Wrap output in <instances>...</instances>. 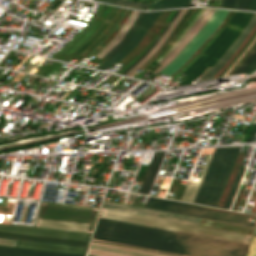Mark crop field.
<instances>
[{"mask_svg": "<svg viewBox=\"0 0 256 256\" xmlns=\"http://www.w3.org/2000/svg\"><path fill=\"white\" fill-rule=\"evenodd\" d=\"M93 238L190 256H245L248 247L101 218Z\"/></svg>", "mask_w": 256, "mask_h": 256, "instance_id": "1", "label": "crop field"}, {"mask_svg": "<svg viewBox=\"0 0 256 256\" xmlns=\"http://www.w3.org/2000/svg\"><path fill=\"white\" fill-rule=\"evenodd\" d=\"M98 209L41 202L34 227L91 233Z\"/></svg>", "mask_w": 256, "mask_h": 256, "instance_id": "2", "label": "crop field"}, {"mask_svg": "<svg viewBox=\"0 0 256 256\" xmlns=\"http://www.w3.org/2000/svg\"><path fill=\"white\" fill-rule=\"evenodd\" d=\"M240 148H216L193 203L216 207Z\"/></svg>", "mask_w": 256, "mask_h": 256, "instance_id": "3", "label": "crop field"}, {"mask_svg": "<svg viewBox=\"0 0 256 256\" xmlns=\"http://www.w3.org/2000/svg\"><path fill=\"white\" fill-rule=\"evenodd\" d=\"M99 216L103 218H108V219L130 222V223H135V224H140L145 226L167 229V230L188 233V234H193L198 236H204V237H209V238H214L219 240H225V241H230L235 243H241L246 245L249 244V240L251 237L249 235H243V234H238L233 232H227V231H222L217 229H211V228H206L201 226L168 221V220L152 218V217L136 215V214L120 212V211L104 209V208L101 209ZM246 239H248V241H246Z\"/></svg>", "mask_w": 256, "mask_h": 256, "instance_id": "4", "label": "crop field"}, {"mask_svg": "<svg viewBox=\"0 0 256 256\" xmlns=\"http://www.w3.org/2000/svg\"><path fill=\"white\" fill-rule=\"evenodd\" d=\"M253 13L239 12L221 32V34L212 42V44L204 51L199 59L191 65L184 74L189 77L186 78L181 84L185 85L199 76L208 66L212 67L213 64L224 54L228 47L237 38L243 28L251 19Z\"/></svg>", "mask_w": 256, "mask_h": 256, "instance_id": "5", "label": "crop field"}, {"mask_svg": "<svg viewBox=\"0 0 256 256\" xmlns=\"http://www.w3.org/2000/svg\"><path fill=\"white\" fill-rule=\"evenodd\" d=\"M147 208H153L158 210H164L174 213H180L185 215H191L196 217H202L207 219H213L218 221H224L234 224H240L253 227L255 223L246 222L247 216L235 215L220 211H214L201 208L199 205L186 204L180 202H174L164 199H158L149 197L146 206Z\"/></svg>", "mask_w": 256, "mask_h": 256, "instance_id": "6", "label": "crop field"}, {"mask_svg": "<svg viewBox=\"0 0 256 256\" xmlns=\"http://www.w3.org/2000/svg\"><path fill=\"white\" fill-rule=\"evenodd\" d=\"M228 13L229 11L227 10L216 9L204 27L195 35V37L186 45V47L177 55V57L160 73L171 76L175 71H177L220 26Z\"/></svg>", "mask_w": 256, "mask_h": 256, "instance_id": "7", "label": "crop field"}, {"mask_svg": "<svg viewBox=\"0 0 256 256\" xmlns=\"http://www.w3.org/2000/svg\"><path fill=\"white\" fill-rule=\"evenodd\" d=\"M102 207L131 212V213H137V214H142L147 216H153V217H158L163 219H169L174 221H180V222H185L190 224H196V225H198L201 220L199 218L183 216V215H178V214H173V213H168L163 211H157V210H152V209H147L142 207L106 202V201L103 202Z\"/></svg>", "mask_w": 256, "mask_h": 256, "instance_id": "8", "label": "crop field"}, {"mask_svg": "<svg viewBox=\"0 0 256 256\" xmlns=\"http://www.w3.org/2000/svg\"><path fill=\"white\" fill-rule=\"evenodd\" d=\"M0 231L11 232V233H20V234H29V235L57 237V238H66V239L85 240V241H89L90 235H91V234H87V233L38 229V228L2 225V224H0Z\"/></svg>", "mask_w": 256, "mask_h": 256, "instance_id": "9", "label": "crop field"}, {"mask_svg": "<svg viewBox=\"0 0 256 256\" xmlns=\"http://www.w3.org/2000/svg\"><path fill=\"white\" fill-rule=\"evenodd\" d=\"M160 13V11L155 12H148L147 16L145 17L142 24L139 26L137 31L134 33L132 38L129 40V42L121 48L112 58H110L103 66H101L99 69H106L109 66H111L112 63L116 64L120 59H122L130 50H132L136 44L139 42L141 37L144 35L146 30L149 28L151 23L154 21V19L157 17V15Z\"/></svg>", "mask_w": 256, "mask_h": 256, "instance_id": "10", "label": "crop field"}, {"mask_svg": "<svg viewBox=\"0 0 256 256\" xmlns=\"http://www.w3.org/2000/svg\"><path fill=\"white\" fill-rule=\"evenodd\" d=\"M256 24V13H254L252 19L238 36V38L234 41V43L229 47V49L225 52V54L217 61V63L199 80H209L212 79L216 73L225 65V63L232 57L244 39L247 37L251 29ZM198 82V81H197Z\"/></svg>", "mask_w": 256, "mask_h": 256, "instance_id": "11", "label": "crop field"}, {"mask_svg": "<svg viewBox=\"0 0 256 256\" xmlns=\"http://www.w3.org/2000/svg\"><path fill=\"white\" fill-rule=\"evenodd\" d=\"M0 256H85L81 254L0 246Z\"/></svg>", "mask_w": 256, "mask_h": 256, "instance_id": "12", "label": "crop field"}, {"mask_svg": "<svg viewBox=\"0 0 256 256\" xmlns=\"http://www.w3.org/2000/svg\"><path fill=\"white\" fill-rule=\"evenodd\" d=\"M215 9H209L203 19L193 28V30L183 39V41L178 45V47L173 51V53L169 56V58L160 66L158 67L150 76H148L145 80L150 78L152 75H156L160 72L166 65H168L175 56L184 48V46L193 38V36L202 28V26L209 20L211 15Z\"/></svg>", "mask_w": 256, "mask_h": 256, "instance_id": "13", "label": "crop field"}, {"mask_svg": "<svg viewBox=\"0 0 256 256\" xmlns=\"http://www.w3.org/2000/svg\"><path fill=\"white\" fill-rule=\"evenodd\" d=\"M16 246L85 254L87 248L17 240Z\"/></svg>", "mask_w": 256, "mask_h": 256, "instance_id": "14", "label": "crop field"}, {"mask_svg": "<svg viewBox=\"0 0 256 256\" xmlns=\"http://www.w3.org/2000/svg\"><path fill=\"white\" fill-rule=\"evenodd\" d=\"M164 154H165V151H159V152L155 153V155L148 167L147 173L143 179V182L141 184V187L139 190L140 193H146V194L149 193Z\"/></svg>", "mask_w": 256, "mask_h": 256, "instance_id": "15", "label": "crop field"}, {"mask_svg": "<svg viewBox=\"0 0 256 256\" xmlns=\"http://www.w3.org/2000/svg\"><path fill=\"white\" fill-rule=\"evenodd\" d=\"M188 9H184L180 12V14L177 16V18L174 20V22L171 24V26L168 28V30L164 33V35L161 37V39L158 41V43L155 45V47L152 49V51L143 58L134 68H132L125 76H131L134 74L146 61H148L159 49V47L162 45V43L165 41V39L168 37V35L171 33V31L174 29V27L177 25V23L180 21V19L183 17V15L187 12Z\"/></svg>", "mask_w": 256, "mask_h": 256, "instance_id": "16", "label": "crop field"}, {"mask_svg": "<svg viewBox=\"0 0 256 256\" xmlns=\"http://www.w3.org/2000/svg\"><path fill=\"white\" fill-rule=\"evenodd\" d=\"M118 10L119 8L114 7L112 11L109 13V15L107 16V18L102 23V25L99 27V29L75 53L69 56L65 61L69 62L78 54H82L89 47V45L104 31V29L107 27V25L112 20V18L114 17V15L117 13Z\"/></svg>", "mask_w": 256, "mask_h": 256, "instance_id": "17", "label": "crop field"}, {"mask_svg": "<svg viewBox=\"0 0 256 256\" xmlns=\"http://www.w3.org/2000/svg\"><path fill=\"white\" fill-rule=\"evenodd\" d=\"M146 13H142L140 12V14L137 16V18L135 19V21L133 22V24L131 25V27L129 28V30L127 31V33L125 34V36L123 37V39L112 49L110 50L105 56L104 58L109 59L112 55H114L122 46H124L128 40L130 39V37L132 36V34L134 33V31L136 30V28L139 26V24L141 23V21L143 20V18L145 17Z\"/></svg>", "mask_w": 256, "mask_h": 256, "instance_id": "18", "label": "crop field"}, {"mask_svg": "<svg viewBox=\"0 0 256 256\" xmlns=\"http://www.w3.org/2000/svg\"><path fill=\"white\" fill-rule=\"evenodd\" d=\"M211 155H212V154H210V155L208 156V158H207V161H206V163H205V165H204V168H203V170H202V173H201V176H200V179H199L198 183L189 181L181 200L187 201V202H191V203L193 202L194 197H195V195H196V192H197V190H198V187H199V185H200V182H201V180H202V177H203V175H204V172H205V170H206V167H207V165H208V162H209V160H210Z\"/></svg>", "mask_w": 256, "mask_h": 256, "instance_id": "19", "label": "crop field"}, {"mask_svg": "<svg viewBox=\"0 0 256 256\" xmlns=\"http://www.w3.org/2000/svg\"><path fill=\"white\" fill-rule=\"evenodd\" d=\"M190 0H161L152 5L151 9H163L189 6Z\"/></svg>", "mask_w": 256, "mask_h": 256, "instance_id": "20", "label": "crop field"}, {"mask_svg": "<svg viewBox=\"0 0 256 256\" xmlns=\"http://www.w3.org/2000/svg\"><path fill=\"white\" fill-rule=\"evenodd\" d=\"M0 235L41 239V240H50V241H58V242H67V243H76V244H84V245H88V243H89V242H85V241L66 240V239H57V238H48V237H39V236H29V235L11 234V233H3V232H0Z\"/></svg>", "mask_w": 256, "mask_h": 256, "instance_id": "21", "label": "crop field"}, {"mask_svg": "<svg viewBox=\"0 0 256 256\" xmlns=\"http://www.w3.org/2000/svg\"><path fill=\"white\" fill-rule=\"evenodd\" d=\"M250 0H223L221 8L248 10Z\"/></svg>", "mask_w": 256, "mask_h": 256, "instance_id": "22", "label": "crop field"}, {"mask_svg": "<svg viewBox=\"0 0 256 256\" xmlns=\"http://www.w3.org/2000/svg\"><path fill=\"white\" fill-rule=\"evenodd\" d=\"M107 2L137 9H147L149 6V4L146 3H139L129 0H108Z\"/></svg>", "mask_w": 256, "mask_h": 256, "instance_id": "23", "label": "crop field"}, {"mask_svg": "<svg viewBox=\"0 0 256 256\" xmlns=\"http://www.w3.org/2000/svg\"><path fill=\"white\" fill-rule=\"evenodd\" d=\"M181 10H178L177 13L173 16V18L169 21V23L165 26V28L162 30V32L159 34V36L156 38V40L153 42V44L149 47V49L132 65L130 66L122 75L127 73L132 67H134L145 55H147L150 50L153 48V46L157 43V41L160 39V37L163 35V33L167 30V28L170 26V24L173 22V20L176 18V16L179 14Z\"/></svg>", "mask_w": 256, "mask_h": 256, "instance_id": "24", "label": "crop field"}, {"mask_svg": "<svg viewBox=\"0 0 256 256\" xmlns=\"http://www.w3.org/2000/svg\"><path fill=\"white\" fill-rule=\"evenodd\" d=\"M243 171H244V169H241V168H240L239 171H238V174H237V176H236L235 182H234V184H233V187H232L231 192H230V194H229L228 200H227L226 205H225V207H224V208H226V209H229V207H230V205H231L232 199H233L234 194H235V192H236V189H237V186H238L239 181H240V179H241V176H242Z\"/></svg>", "mask_w": 256, "mask_h": 256, "instance_id": "25", "label": "crop field"}, {"mask_svg": "<svg viewBox=\"0 0 256 256\" xmlns=\"http://www.w3.org/2000/svg\"><path fill=\"white\" fill-rule=\"evenodd\" d=\"M90 247L98 248V249H103V250H108V251L119 252V253H124V254H130V255H135V256H155V255H149V254H144V253L132 252V251L121 250V249L110 248V247H104V246L93 245V244H91Z\"/></svg>", "mask_w": 256, "mask_h": 256, "instance_id": "26", "label": "crop field"}, {"mask_svg": "<svg viewBox=\"0 0 256 256\" xmlns=\"http://www.w3.org/2000/svg\"><path fill=\"white\" fill-rule=\"evenodd\" d=\"M88 254L96 255V256H130V255H124V254L108 252V251L92 249V248L89 249V253Z\"/></svg>", "mask_w": 256, "mask_h": 256, "instance_id": "27", "label": "crop field"}, {"mask_svg": "<svg viewBox=\"0 0 256 256\" xmlns=\"http://www.w3.org/2000/svg\"><path fill=\"white\" fill-rule=\"evenodd\" d=\"M204 8H201L197 15L193 18V20L189 23V25L185 28V30L181 33V35L176 39V41L170 46V48L164 53V55L157 61V63L162 60L166 54L172 49V47L178 42V40L184 35V33L189 29V27L195 22V20L199 17Z\"/></svg>", "mask_w": 256, "mask_h": 256, "instance_id": "28", "label": "crop field"}, {"mask_svg": "<svg viewBox=\"0 0 256 256\" xmlns=\"http://www.w3.org/2000/svg\"><path fill=\"white\" fill-rule=\"evenodd\" d=\"M208 11L207 8H205V10L203 11V13L200 15V17L196 20V22L191 26V28L185 33V35L179 40V42L173 47V49L167 54V56L161 61L159 62L162 63L164 60H166L168 58V56L172 53V51L177 47V45L181 42V40L192 30V28L202 19V17L205 15V13ZM183 41V40H182Z\"/></svg>", "mask_w": 256, "mask_h": 256, "instance_id": "29", "label": "crop field"}, {"mask_svg": "<svg viewBox=\"0 0 256 256\" xmlns=\"http://www.w3.org/2000/svg\"><path fill=\"white\" fill-rule=\"evenodd\" d=\"M137 12V11H136ZM135 11H133V13L131 14V16L129 17V19L126 21V23L124 24V26L121 28V30L119 31V33L116 35V37L101 51L99 52L95 58H97L101 53H103L112 43H114L119 36L121 35V33L123 32V30L125 29V27L127 26V24L129 23V21L131 20V18L133 17Z\"/></svg>", "mask_w": 256, "mask_h": 256, "instance_id": "30", "label": "crop field"}, {"mask_svg": "<svg viewBox=\"0 0 256 256\" xmlns=\"http://www.w3.org/2000/svg\"><path fill=\"white\" fill-rule=\"evenodd\" d=\"M256 55V48L252 52V54L246 59V61L233 73V74H238L243 71V69L249 64V62L253 59V57Z\"/></svg>", "mask_w": 256, "mask_h": 256, "instance_id": "31", "label": "crop field"}, {"mask_svg": "<svg viewBox=\"0 0 256 256\" xmlns=\"http://www.w3.org/2000/svg\"><path fill=\"white\" fill-rule=\"evenodd\" d=\"M139 14V12L136 13V15L134 16V18L131 20V22L129 23L127 29L124 31V33L121 35V37L114 43L112 44L103 54H101L98 59H101L111 48H113L124 36V34L126 33V31L128 30V28L130 27V25L132 24V22L134 21V19L136 18V16Z\"/></svg>", "mask_w": 256, "mask_h": 256, "instance_id": "32", "label": "crop field"}, {"mask_svg": "<svg viewBox=\"0 0 256 256\" xmlns=\"http://www.w3.org/2000/svg\"><path fill=\"white\" fill-rule=\"evenodd\" d=\"M247 256H256V237H252L250 248Z\"/></svg>", "mask_w": 256, "mask_h": 256, "instance_id": "33", "label": "crop field"}, {"mask_svg": "<svg viewBox=\"0 0 256 256\" xmlns=\"http://www.w3.org/2000/svg\"><path fill=\"white\" fill-rule=\"evenodd\" d=\"M0 237H3V238H12V239H21V240H30V241H39V242H48V243H56V244H65V245H74V246H83V247H87V246H84V245L67 244V243H58V242L41 241V240H32V239H24V238L5 237V236H0Z\"/></svg>", "mask_w": 256, "mask_h": 256, "instance_id": "34", "label": "crop field"}, {"mask_svg": "<svg viewBox=\"0 0 256 256\" xmlns=\"http://www.w3.org/2000/svg\"><path fill=\"white\" fill-rule=\"evenodd\" d=\"M254 68H256V56L254 57V59L250 62V64L245 68V70L242 73H248L251 70H253Z\"/></svg>", "mask_w": 256, "mask_h": 256, "instance_id": "35", "label": "crop field"}, {"mask_svg": "<svg viewBox=\"0 0 256 256\" xmlns=\"http://www.w3.org/2000/svg\"><path fill=\"white\" fill-rule=\"evenodd\" d=\"M93 244H99V245H105V246H110V247L122 248V249L133 250V251H139V252L150 253V254H156V255H161V256H167V255H162V254H157V253H151V252H146V251H140V250H135V249H129V248H124V247H118V246H113V245H107V244H102V243H96V242H93Z\"/></svg>", "mask_w": 256, "mask_h": 256, "instance_id": "36", "label": "crop field"}, {"mask_svg": "<svg viewBox=\"0 0 256 256\" xmlns=\"http://www.w3.org/2000/svg\"><path fill=\"white\" fill-rule=\"evenodd\" d=\"M249 10L256 11V0H251Z\"/></svg>", "mask_w": 256, "mask_h": 256, "instance_id": "37", "label": "crop field"}, {"mask_svg": "<svg viewBox=\"0 0 256 256\" xmlns=\"http://www.w3.org/2000/svg\"><path fill=\"white\" fill-rule=\"evenodd\" d=\"M88 256H90V255H88Z\"/></svg>", "mask_w": 256, "mask_h": 256, "instance_id": "38", "label": "crop field"}]
</instances>
